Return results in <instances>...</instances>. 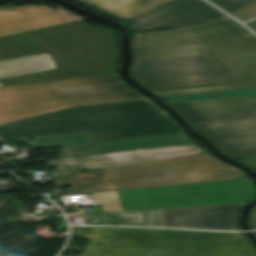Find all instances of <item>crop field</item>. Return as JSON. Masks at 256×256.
Here are the masks:
<instances>
[{
  "instance_id": "obj_1",
  "label": "crop field",
  "mask_w": 256,
  "mask_h": 256,
  "mask_svg": "<svg viewBox=\"0 0 256 256\" xmlns=\"http://www.w3.org/2000/svg\"><path fill=\"white\" fill-rule=\"evenodd\" d=\"M232 19L134 34L135 61L205 55L217 70L140 77L153 90L256 81V37ZM256 88V82L155 91L160 97Z\"/></svg>"
},
{
  "instance_id": "obj_13",
  "label": "crop field",
  "mask_w": 256,
  "mask_h": 256,
  "mask_svg": "<svg viewBox=\"0 0 256 256\" xmlns=\"http://www.w3.org/2000/svg\"><path fill=\"white\" fill-rule=\"evenodd\" d=\"M67 22L37 5L0 9V36Z\"/></svg>"
},
{
  "instance_id": "obj_2",
  "label": "crop field",
  "mask_w": 256,
  "mask_h": 256,
  "mask_svg": "<svg viewBox=\"0 0 256 256\" xmlns=\"http://www.w3.org/2000/svg\"><path fill=\"white\" fill-rule=\"evenodd\" d=\"M115 44L81 21L1 37L0 87L115 73Z\"/></svg>"
},
{
  "instance_id": "obj_15",
  "label": "crop field",
  "mask_w": 256,
  "mask_h": 256,
  "mask_svg": "<svg viewBox=\"0 0 256 256\" xmlns=\"http://www.w3.org/2000/svg\"><path fill=\"white\" fill-rule=\"evenodd\" d=\"M109 13L128 19L170 0H85Z\"/></svg>"
},
{
  "instance_id": "obj_7",
  "label": "crop field",
  "mask_w": 256,
  "mask_h": 256,
  "mask_svg": "<svg viewBox=\"0 0 256 256\" xmlns=\"http://www.w3.org/2000/svg\"><path fill=\"white\" fill-rule=\"evenodd\" d=\"M172 104L229 156L256 154V95Z\"/></svg>"
},
{
  "instance_id": "obj_24",
  "label": "crop field",
  "mask_w": 256,
  "mask_h": 256,
  "mask_svg": "<svg viewBox=\"0 0 256 256\" xmlns=\"http://www.w3.org/2000/svg\"><path fill=\"white\" fill-rule=\"evenodd\" d=\"M248 24H250L253 28L256 29V20L250 21L248 22Z\"/></svg>"
},
{
  "instance_id": "obj_25",
  "label": "crop field",
  "mask_w": 256,
  "mask_h": 256,
  "mask_svg": "<svg viewBox=\"0 0 256 256\" xmlns=\"http://www.w3.org/2000/svg\"><path fill=\"white\" fill-rule=\"evenodd\" d=\"M256 209V208H255Z\"/></svg>"
},
{
  "instance_id": "obj_20",
  "label": "crop field",
  "mask_w": 256,
  "mask_h": 256,
  "mask_svg": "<svg viewBox=\"0 0 256 256\" xmlns=\"http://www.w3.org/2000/svg\"><path fill=\"white\" fill-rule=\"evenodd\" d=\"M145 212L148 226L161 227L158 209L145 210Z\"/></svg>"
},
{
  "instance_id": "obj_23",
  "label": "crop field",
  "mask_w": 256,
  "mask_h": 256,
  "mask_svg": "<svg viewBox=\"0 0 256 256\" xmlns=\"http://www.w3.org/2000/svg\"><path fill=\"white\" fill-rule=\"evenodd\" d=\"M252 221L254 226H256V210L252 211Z\"/></svg>"
},
{
  "instance_id": "obj_6",
  "label": "crop field",
  "mask_w": 256,
  "mask_h": 256,
  "mask_svg": "<svg viewBox=\"0 0 256 256\" xmlns=\"http://www.w3.org/2000/svg\"><path fill=\"white\" fill-rule=\"evenodd\" d=\"M125 84L118 74L0 88V125L69 107L146 99L130 86L76 90Z\"/></svg>"
},
{
  "instance_id": "obj_22",
  "label": "crop field",
  "mask_w": 256,
  "mask_h": 256,
  "mask_svg": "<svg viewBox=\"0 0 256 256\" xmlns=\"http://www.w3.org/2000/svg\"><path fill=\"white\" fill-rule=\"evenodd\" d=\"M45 162H46V164H47L48 167L56 166L55 163L53 162V160H49V161H45ZM56 167H57V166H56ZM54 175L56 176V178L62 176V174L60 173V171L58 170V168H57V171H56V173H55Z\"/></svg>"
},
{
  "instance_id": "obj_3",
  "label": "crop field",
  "mask_w": 256,
  "mask_h": 256,
  "mask_svg": "<svg viewBox=\"0 0 256 256\" xmlns=\"http://www.w3.org/2000/svg\"><path fill=\"white\" fill-rule=\"evenodd\" d=\"M158 109L148 100L70 108L2 125L0 138L10 141L89 130L104 141L181 132Z\"/></svg>"
},
{
  "instance_id": "obj_14",
  "label": "crop field",
  "mask_w": 256,
  "mask_h": 256,
  "mask_svg": "<svg viewBox=\"0 0 256 256\" xmlns=\"http://www.w3.org/2000/svg\"><path fill=\"white\" fill-rule=\"evenodd\" d=\"M214 66L205 56L134 63L135 77L210 70Z\"/></svg>"
},
{
  "instance_id": "obj_11",
  "label": "crop field",
  "mask_w": 256,
  "mask_h": 256,
  "mask_svg": "<svg viewBox=\"0 0 256 256\" xmlns=\"http://www.w3.org/2000/svg\"><path fill=\"white\" fill-rule=\"evenodd\" d=\"M223 16L200 0H172L134 18V31L159 30L193 24Z\"/></svg>"
},
{
  "instance_id": "obj_12",
  "label": "crop field",
  "mask_w": 256,
  "mask_h": 256,
  "mask_svg": "<svg viewBox=\"0 0 256 256\" xmlns=\"http://www.w3.org/2000/svg\"><path fill=\"white\" fill-rule=\"evenodd\" d=\"M239 204L159 209L162 227L237 230Z\"/></svg>"
},
{
  "instance_id": "obj_17",
  "label": "crop field",
  "mask_w": 256,
  "mask_h": 256,
  "mask_svg": "<svg viewBox=\"0 0 256 256\" xmlns=\"http://www.w3.org/2000/svg\"><path fill=\"white\" fill-rule=\"evenodd\" d=\"M247 94H256V89L198 94V95H187V96H177V97H167L164 99H166L168 102H176V101L217 98V97H227V96H237V95H247Z\"/></svg>"
},
{
  "instance_id": "obj_21",
  "label": "crop field",
  "mask_w": 256,
  "mask_h": 256,
  "mask_svg": "<svg viewBox=\"0 0 256 256\" xmlns=\"http://www.w3.org/2000/svg\"><path fill=\"white\" fill-rule=\"evenodd\" d=\"M240 161H242L256 169V156L240 159Z\"/></svg>"
},
{
  "instance_id": "obj_18",
  "label": "crop field",
  "mask_w": 256,
  "mask_h": 256,
  "mask_svg": "<svg viewBox=\"0 0 256 256\" xmlns=\"http://www.w3.org/2000/svg\"><path fill=\"white\" fill-rule=\"evenodd\" d=\"M213 1L217 2L220 6L224 7L225 9L231 12L256 2V0H213Z\"/></svg>"
},
{
  "instance_id": "obj_19",
  "label": "crop field",
  "mask_w": 256,
  "mask_h": 256,
  "mask_svg": "<svg viewBox=\"0 0 256 256\" xmlns=\"http://www.w3.org/2000/svg\"><path fill=\"white\" fill-rule=\"evenodd\" d=\"M233 15L237 16L238 18L248 21L256 17V3L240 9L238 11L233 12Z\"/></svg>"
},
{
  "instance_id": "obj_9",
  "label": "crop field",
  "mask_w": 256,
  "mask_h": 256,
  "mask_svg": "<svg viewBox=\"0 0 256 256\" xmlns=\"http://www.w3.org/2000/svg\"><path fill=\"white\" fill-rule=\"evenodd\" d=\"M31 148L60 145V158L125 152L197 143L185 133L99 142L89 131L24 140Z\"/></svg>"
},
{
  "instance_id": "obj_5",
  "label": "crop field",
  "mask_w": 256,
  "mask_h": 256,
  "mask_svg": "<svg viewBox=\"0 0 256 256\" xmlns=\"http://www.w3.org/2000/svg\"><path fill=\"white\" fill-rule=\"evenodd\" d=\"M227 164V163H226ZM209 154L94 171L55 179L57 187L73 190L56 195L84 194L134 188L196 183L247 177Z\"/></svg>"
},
{
  "instance_id": "obj_16",
  "label": "crop field",
  "mask_w": 256,
  "mask_h": 256,
  "mask_svg": "<svg viewBox=\"0 0 256 256\" xmlns=\"http://www.w3.org/2000/svg\"><path fill=\"white\" fill-rule=\"evenodd\" d=\"M89 225L147 226L144 210L88 214Z\"/></svg>"
},
{
  "instance_id": "obj_10",
  "label": "crop field",
  "mask_w": 256,
  "mask_h": 256,
  "mask_svg": "<svg viewBox=\"0 0 256 256\" xmlns=\"http://www.w3.org/2000/svg\"><path fill=\"white\" fill-rule=\"evenodd\" d=\"M205 153L207 152L202 147L195 144L189 146L115 153L88 157L56 159L54 160V162L58 166L63 176H66L74 173L80 167H86V169L92 171L101 168L108 169L126 165H133Z\"/></svg>"
},
{
  "instance_id": "obj_4",
  "label": "crop field",
  "mask_w": 256,
  "mask_h": 256,
  "mask_svg": "<svg viewBox=\"0 0 256 256\" xmlns=\"http://www.w3.org/2000/svg\"><path fill=\"white\" fill-rule=\"evenodd\" d=\"M91 239L81 256H256L243 233L137 228H77Z\"/></svg>"
},
{
  "instance_id": "obj_8",
  "label": "crop field",
  "mask_w": 256,
  "mask_h": 256,
  "mask_svg": "<svg viewBox=\"0 0 256 256\" xmlns=\"http://www.w3.org/2000/svg\"><path fill=\"white\" fill-rule=\"evenodd\" d=\"M89 195L95 206L121 204L125 210H135L247 202L256 190L246 178Z\"/></svg>"
}]
</instances>
